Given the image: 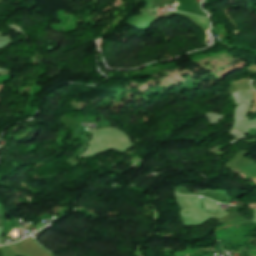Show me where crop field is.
<instances>
[{"instance_id": "obj_1", "label": "crop field", "mask_w": 256, "mask_h": 256, "mask_svg": "<svg viewBox=\"0 0 256 256\" xmlns=\"http://www.w3.org/2000/svg\"><path fill=\"white\" fill-rule=\"evenodd\" d=\"M252 87L256 89V81H252L251 83Z\"/></svg>"}, {"instance_id": "obj_2", "label": "crop field", "mask_w": 256, "mask_h": 256, "mask_svg": "<svg viewBox=\"0 0 256 256\" xmlns=\"http://www.w3.org/2000/svg\"><path fill=\"white\" fill-rule=\"evenodd\" d=\"M0 256H5L3 251H2V247L0 246Z\"/></svg>"}]
</instances>
